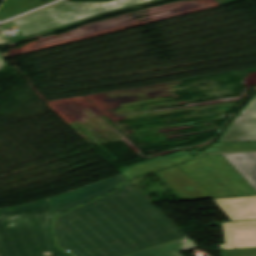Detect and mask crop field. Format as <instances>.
I'll list each match as a JSON object with an SVG mask.
<instances>
[{
    "mask_svg": "<svg viewBox=\"0 0 256 256\" xmlns=\"http://www.w3.org/2000/svg\"><path fill=\"white\" fill-rule=\"evenodd\" d=\"M54 235L74 256H124L185 237L129 182L56 218Z\"/></svg>",
    "mask_w": 256,
    "mask_h": 256,
    "instance_id": "crop-field-1",
    "label": "crop field"
},
{
    "mask_svg": "<svg viewBox=\"0 0 256 256\" xmlns=\"http://www.w3.org/2000/svg\"><path fill=\"white\" fill-rule=\"evenodd\" d=\"M178 166L156 174L182 200L256 195L222 154L196 157Z\"/></svg>",
    "mask_w": 256,
    "mask_h": 256,
    "instance_id": "crop-field-2",
    "label": "crop field"
},
{
    "mask_svg": "<svg viewBox=\"0 0 256 256\" xmlns=\"http://www.w3.org/2000/svg\"><path fill=\"white\" fill-rule=\"evenodd\" d=\"M53 214L48 200L24 207L0 209V256H44L63 254L51 235Z\"/></svg>",
    "mask_w": 256,
    "mask_h": 256,
    "instance_id": "crop-field-3",
    "label": "crop field"
},
{
    "mask_svg": "<svg viewBox=\"0 0 256 256\" xmlns=\"http://www.w3.org/2000/svg\"><path fill=\"white\" fill-rule=\"evenodd\" d=\"M157 0H113L101 3H60L41 12L14 20L23 36L56 30L105 13L153 2ZM237 2L241 0H222Z\"/></svg>",
    "mask_w": 256,
    "mask_h": 256,
    "instance_id": "crop-field-4",
    "label": "crop field"
},
{
    "mask_svg": "<svg viewBox=\"0 0 256 256\" xmlns=\"http://www.w3.org/2000/svg\"><path fill=\"white\" fill-rule=\"evenodd\" d=\"M126 180L122 175L116 176L97 184L50 198V201L54 207L55 214L58 215L67 209L114 191L119 183Z\"/></svg>",
    "mask_w": 256,
    "mask_h": 256,
    "instance_id": "crop-field-5",
    "label": "crop field"
},
{
    "mask_svg": "<svg viewBox=\"0 0 256 256\" xmlns=\"http://www.w3.org/2000/svg\"><path fill=\"white\" fill-rule=\"evenodd\" d=\"M256 140V96L241 110L217 142Z\"/></svg>",
    "mask_w": 256,
    "mask_h": 256,
    "instance_id": "crop-field-6",
    "label": "crop field"
},
{
    "mask_svg": "<svg viewBox=\"0 0 256 256\" xmlns=\"http://www.w3.org/2000/svg\"><path fill=\"white\" fill-rule=\"evenodd\" d=\"M224 244L220 249L256 247V221L221 223Z\"/></svg>",
    "mask_w": 256,
    "mask_h": 256,
    "instance_id": "crop-field-7",
    "label": "crop field"
},
{
    "mask_svg": "<svg viewBox=\"0 0 256 256\" xmlns=\"http://www.w3.org/2000/svg\"><path fill=\"white\" fill-rule=\"evenodd\" d=\"M215 202L232 221L256 219V196L217 199Z\"/></svg>",
    "mask_w": 256,
    "mask_h": 256,
    "instance_id": "crop-field-8",
    "label": "crop field"
},
{
    "mask_svg": "<svg viewBox=\"0 0 256 256\" xmlns=\"http://www.w3.org/2000/svg\"><path fill=\"white\" fill-rule=\"evenodd\" d=\"M189 158L190 156L188 153L181 151V152H178L160 159H156L138 166L119 170V172L128 180H130L135 177L183 162Z\"/></svg>",
    "mask_w": 256,
    "mask_h": 256,
    "instance_id": "crop-field-9",
    "label": "crop field"
},
{
    "mask_svg": "<svg viewBox=\"0 0 256 256\" xmlns=\"http://www.w3.org/2000/svg\"><path fill=\"white\" fill-rule=\"evenodd\" d=\"M223 155L242 175V177L256 190V152ZM252 163L255 165L253 166Z\"/></svg>",
    "mask_w": 256,
    "mask_h": 256,
    "instance_id": "crop-field-10",
    "label": "crop field"
},
{
    "mask_svg": "<svg viewBox=\"0 0 256 256\" xmlns=\"http://www.w3.org/2000/svg\"><path fill=\"white\" fill-rule=\"evenodd\" d=\"M197 246L187 237L158 245L127 256H180L178 253L187 251Z\"/></svg>",
    "mask_w": 256,
    "mask_h": 256,
    "instance_id": "crop-field-11",
    "label": "crop field"
},
{
    "mask_svg": "<svg viewBox=\"0 0 256 256\" xmlns=\"http://www.w3.org/2000/svg\"><path fill=\"white\" fill-rule=\"evenodd\" d=\"M256 151V142L217 144L203 153Z\"/></svg>",
    "mask_w": 256,
    "mask_h": 256,
    "instance_id": "crop-field-12",
    "label": "crop field"
},
{
    "mask_svg": "<svg viewBox=\"0 0 256 256\" xmlns=\"http://www.w3.org/2000/svg\"><path fill=\"white\" fill-rule=\"evenodd\" d=\"M221 256H256V248L220 250Z\"/></svg>",
    "mask_w": 256,
    "mask_h": 256,
    "instance_id": "crop-field-13",
    "label": "crop field"
},
{
    "mask_svg": "<svg viewBox=\"0 0 256 256\" xmlns=\"http://www.w3.org/2000/svg\"><path fill=\"white\" fill-rule=\"evenodd\" d=\"M4 66H6L1 54H0V69H2Z\"/></svg>",
    "mask_w": 256,
    "mask_h": 256,
    "instance_id": "crop-field-14",
    "label": "crop field"
}]
</instances>
